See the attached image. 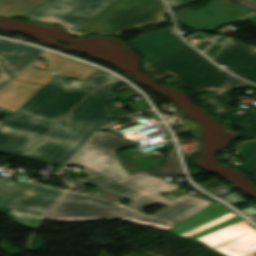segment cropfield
I'll list each match as a JSON object with an SVG mask.
<instances>
[{
    "label": "crop field",
    "instance_id": "1",
    "mask_svg": "<svg viewBox=\"0 0 256 256\" xmlns=\"http://www.w3.org/2000/svg\"><path fill=\"white\" fill-rule=\"evenodd\" d=\"M136 144L110 132H98L70 162L85 167L81 172L89 175L79 181L123 196L132 201L129 205L125 207L118 201L98 197L101 194L95 191L82 193L69 190L46 219H128L168 230L213 203L187 194L171 201L159 194L180 188L165 178L183 175L176 153L166 155L162 168L129 176L119 164L116 150ZM154 204L167 206L150 216L141 212Z\"/></svg>",
    "mask_w": 256,
    "mask_h": 256
},
{
    "label": "crop field",
    "instance_id": "2",
    "mask_svg": "<svg viewBox=\"0 0 256 256\" xmlns=\"http://www.w3.org/2000/svg\"><path fill=\"white\" fill-rule=\"evenodd\" d=\"M109 76L98 69L83 82L54 77L0 125V153L23 155Z\"/></svg>",
    "mask_w": 256,
    "mask_h": 256
},
{
    "label": "crop field",
    "instance_id": "3",
    "mask_svg": "<svg viewBox=\"0 0 256 256\" xmlns=\"http://www.w3.org/2000/svg\"><path fill=\"white\" fill-rule=\"evenodd\" d=\"M162 0H50L26 15L29 19L55 22L70 33L117 35L123 30L165 21Z\"/></svg>",
    "mask_w": 256,
    "mask_h": 256
},
{
    "label": "crop field",
    "instance_id": "4",
    "mask_svg": "<svg viewBox=\"0 0 256 256\" xmlns=\"http://www.w3.org/2000/svg\"><path fill=\"white\" fill-rule=\"evenodd\" d=\"M149 76L160 79L173 76L166 82L185 86L197 91H216L197 100L222 116L227 122L239 127L251 137H256V110L247 119L228 107L232 90L256 86L239 80L214 66L188 45L177 52L143 69Z\"/></svg>",
    "mask_w": 256,
    "mask_h": 256
},
{
    "label": "crop field",
    "instance_id": "5",
    "mask_svg": "<svg viewBox=\"0 0 256 256\" xmlns=\"http://www.w3.org/2000/svg\"><path fill=\"white\" fill-rule=\"evenodd\" d=\"M121 82L114 76L108 79L24 157L50 166H64L98 129L130 115L118 107H111L106 113L90 109L96 102L111 106L117 97L108 92Z\"/></svg>",
    "mask_w": 256,
    "mask_h": 256
},
{
    "label": "crop field",
    "instance_id": "6",
    "mask_svg": "<svg viewBox=\"0 0 256 256\" xmlns=\"http://www.w3.org/2000/svg\"><path fill=\"white\" fill-rule=\"evenodd\" d=\"M168 230L224 256H256V229L218 201Z\"/></svg>",
    "mask_w": 256,
    "mask_h": 256
},
{
    "label": "crop field",
    "instance_id": "7",
    "mask_svg": "<svg viewBox=\"0 0 256 256\" xmlns=\"http://www.w3.org/2000/svg\"><path fill=\"white\" fill-rule=\"evenodd\" d=\"M67 190L41 183L0 180V208L12 210L14 222L34 229Z\"/></svg>",
    "mask_w": 256,
    "mask_h": 256
},
{
    "label": "crop field",
    "instance_id": "8",
    "mask_svg": "<svg viewBox=\"0 0 256 256\" xmlns=\"http://www.w3.org/2000/svg\"><path fill=\"white\" fill-rule=\"evenodd\" d=\"M251 12L229 0L211 1L201 10L182 9L177 12L176 20L193 29L212 31L230 21Z\"/></svg>",
    "mask_w": 256,
    "mask_h": 256
},
{
    "label": "crop field",
    "instance_id": "9",
    "mask_svg": "<svg viewBox=\"0 0 256 256\" xmlns=\"http://www.w3.org/2000/svg\"><path fill=\"white\" fill-rule=\"evenodd\" d=\"M41 58L47 59L48 67L45 70L34 68L35 64L28 67L16 79L29 83L46 85L54 76L73 77L84 80L97 68L82 64L62 56L46 52ZM52 71L57 72L54 76L49 75Z\"/></svg>",
    "mask_w": 256,
    "mask_h": 256
},
{
    "label": "crop field",
    "instance_id": "10",
    "mask_svg": "<svg viewBox=\"0 0 256 256\" xmlns=\"http://www.w3.org/2000/svg\"><path fill=\"white\" fill-rule=\"evenodd\" d=\"M214 62L224 64L231 73L256 83V46L233 40Z\"/></svg>",
    "mask_w": 256,
    "mask_h": 256
},
{
    "label": "crop field",
    "instance_id": "11",
    "mask_svg": "<svg viewBox=\"0 0 256 256\" xmlns=\"http://www.w3.org/2000/svg\"><path fill=\"white\" fill-rule=\"evenodd\" d=\"M132 43L146 59L143 67L187 45L177 36L173 26L144 35Z\"/></svg>",
    "mask_w": 256,
    "mask_h": 256
},
{
    "label": "crop field",
    "instance_id": "12",
    "mask_svg": "<svg viewBox=\"0 0 256 256\" xmlns=\"http://www.w3.org/2000/svg\"><path fill=\"white\" fill-rule=\"evenodd\" d=\"M43 51L44 50L15 42L0 41V59L2 60L5 70L12 77L18 74Z\"/></svg>",
    "mask_w": 256,
    "mask_h": 256
},
{
    "label": "crop field",
    "instance_id": "13",
    "mask_svg": "<svg viewBox=\"0 0 256 256\" xmlns=\"http://www.w3.org/2000/svg\"><path fill=\"white\" fill-rule=\"evenodd\" d=\"M41 87L43 86L14 80L0 92V107L15 112Z\"/></svg>",
    "mask_w": 256,
    "mask_h": 256
},
{
    "label": "crop field",
    "instance_id": "14",
    "mask_svg": "<svg viewBox=\"0 0 256 256\" xmlns=\"http://www.w3.org/2000/svg\"><path fill=\"white\" fill-rule=\"evenodd\" d=\"M46 0H0V15H23ZM28 7V9H26Z\"/></svg>",
    "mask_w": 256,
    "mask_h": 256
},
{
    "label": "crop field",
    "instance_id": "15",
    "mask_svg": "<svg viewBox=\"0 0 256 256\" xmlns=\"http://www.w3.org/2000/svg\"><path fill=\"white\" fill-rule=\"evenodd\" d=\"M236 155L245 160L239 167L256 181V141L242 144Z\"/></svg>",
    "mask_w": 256,
    "mask_h": 256
},
{
    "label": "crop field",
    "instance_id": "16",
    "mask_svg": "<svg viewBox=\"0 0 256 256\" xmlns=\"http://www.w3.org/2000/svg\"><path fill=\"white\" fill-rule=\"evenodd\" d=\"M230 37L219 36L215 42L204 52L212 60L215 59L223 49L233 40Z\"/></svg>",
    "mask_w": 256,
    "mask_h": 256
},
{
    "label": "crop field",
    "instance_id": "17",
    "mask_svg": "<svg viewBox=\"0 0 256 256\" xmlns=\"http://www.w3.org/2000/svg\"><path fill=\"white\" fill-rule=\"evenodd\" d=\"M222 199L232 205L246 202L243 198H241L240 196H238L237 194H234V193H231Z\"/></svg>",
    "mask_w": 256,
    "mask_h": 256
},
{
    "label": "crop field",
    "instance_id": "18",
    "mask_svg": "<svg viewBox=\"0 0 256 256\" xmlns=\"http://www.w3.org/2000/svg\"><path fill=\"white\" fill-rule=\"evenodd\" d=\"M216 36L217 35H206L195 48L203 51Z\"/></svg>",
    "mask_w": 256,
    "mask_h": 256
},
{
    "label": "crop field",
    "instance_id": "19",
    "mask_svg": "<svg viewBox=\"0 0 256 256\" xmlns=\"http://www.w3.org/2000/svg\"><path fill=\"white\" fill-rule=\"evenodd\" d=\"M129 105L132 106L131 110L134 112L141 111V110L144 111L145 109H148L144 100H141V101L129 104ZM135 107H137V108H135Z\"/></svg>",
    "mask_w": 256,
    "mask_h": 256
},
{
    "label": "crop field",
    "instance_id": "20",
    "mask_svg": "<svg viewBox=\"0 0 256 256\" xmlns=\"http://www.w3.org/2000/svg\"><path fill=\"white\" fill-rule=\"evenodd\" d=\"M12 78L7 76L0 65V89Z\"/></svg>",
    "mask_w": 256,
    "mask_h": 256
},
{
    "label": "crop field",
    "instance_id": "21",
    "mask_svg": "<svg viewBox=\"0 0 256 256\" xmlns=\"http://www.w3.org/2000/svg\"><path fill=\"white\" fill-rule=\"evenodd\" d=\"M108 107H109V106L96 103V104L92 107V109H96V110H100V111H104V112H105Z\"/></svg>",
    "mask_w": 256,
    "mask_h": 256
},
{
    "label": "crop field",
    "instance_id": "22",
    "mask_svg": "<svg viewBox=\"0 0 256 256\" xmlns=\"http://www.w3.org/2000/svg\"><path fill=\"white\" fill-rule=\"evenodd\" d=\"M167 2L169 3L170 7L179 4L178 0H167Z\"/></svg>",
    "mask_w": 256,
    "mask_h": 256
},
{
    "label": "crop field",
    "instance_id": "23",
    "mask_svg": "<svg viewBox=\"0 0 256 256\" xmlns=\"http://www.w3.org/2000/svg\"><path fill=\"white\" fill-rule=\"evenodd\" d=\"M250 20H252L253 22L256 23V15H253V16H247ZM247 18V19H248Z\"/></svg>",
    "mask_w": 256,
    "mask_h": 256
},
{
    "label": "crop field",
    "instance_id": "24",
    "mask_svg": "<svg viewBox=\"0 0 256 256\" xmlns=\"http://www.w3.org/2000/svg\"><path fill=\"white\" fill-rule=\"evenodd\" d=\"M1 124V123H0Z\"/></svg>",
    "mask_w": 256,
    "mask_h": 256
}]
</instances>
